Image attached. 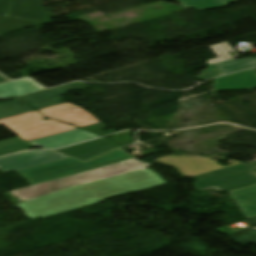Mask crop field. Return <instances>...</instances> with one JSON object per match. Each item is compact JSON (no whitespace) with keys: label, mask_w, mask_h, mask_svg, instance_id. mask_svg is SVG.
<instances>
[{"label":"crop field","mask_w":256,"mask_h":256,"mask_svg":"<svg viewBox=\"0 0 256 256\" xmlns=\"http://www.w3.org/2000/svg\"><path fill=\"white\" fill-rule=\"evenodd\" d=\"M164 184L168 183L154 171L143 169L93 184L57 189L16 206L22 208L27 217H46L102 202L105 198L140 192Z\"/></svg>","instance_id":"1"},{"label":"crop field","mask_w":256,"mask_h":256,"mask_svg":"<svg viewBox=\"0 0 256 256\" xmlns=\"http://www.w3.org/2000/svg\"><path fill=\"white\" fill-rule=\"evenodd\" d=\"M131 157L119 148L108 151L86 162L70 158L22 171H16L30 184H38L68 175L128 160Z\"/></svg>","instance_id":"2"},{"label":"crop field","mask_w":256,"mask_h":256,"mask_svg":"<svg viewBox=\"0 0 256 256\" xmlns=\"http://www.w3.org/2000/svg\"><path fill=\"white\" fill-rule=\"evenodd\" d=\"M149 164L137 162L135 160H128L118 164L102 167L99 169L87 171L84 173L68 176L65 178L53 180L50 182L34 185L31 187L19 189L13 191L15 197L20 198L21 202L39 197L47 194L48 192L61 188L77 184H88L97 182L103 179L115 177L139 169L147 167Z\"/></svg>","instance_id":"3"},{"label":"crop field","mask_w":256,"mask_h":256,"mask_svg":"<svg viewBox=\"0 0 256 256\" xmlns=\"http://www.w3.org/2000/svg\"><path fill=\"white\" fill-rule=\"evenodd\" d=\"M44 117L37 111L5 118L0 120V126L4 125L18 137L28 141L64 131L77 129L72 125L62 124L51 119L42 121Z\"/></svg>","instance_id":"4"},{"label":"crop field","mask_w":256,"mask_h":256,"mask_svg":"<svg viewBox=\"0 0 256 256\" xmlns=\"http://www.w3.org/2000/svg\"><path fill=\"white\" fill-rule=\"evenodd\" d=\"M256 164L236 165L203 176L194 177L193 183L198 190L215 187L220 190H232L256 184Z\"/></svg>","instance_id":"5"},{"label":"crop field","mask_w":256,"mask_h":256,"mask_svg":"<svg viewBox=\"0 0 256 256\" xmlns=\"http://www.w3.org/2000/svg\"><path fill=\"white\" fill-rule=\"evenodd\" d=\"M215 160L197 157H167L156 161L158 164L172 166L179 170L183 177H194L206 174L225 167L214 162ZM230 165L240 164L239 161L228 160ZM228 167V166H226Z\"/></svg>","instance_id":"6"},{"label":"crop field","mask_w":256,"mask_h":256,"mask_svg":"<svg viewBox=\"0 0 256 256\" xmlns=\"http://www.w3.org/2000/svg\"><path fill=\"white\" fill-rule=\"evenodd\" d=\"M69 158L55 151H30L0 159V170L13 172L61 159Z\"/></svg>","instance_id":"7"},{"label":"crop field","mask_w":256,"mask_h":256,"mask_svg":"<svg viewBox=\"0 0 256 256\" xmlns=\"http://www.w3.org/2000/svg\"><path fill=\"white\" fill-rule=\"evenodd\" d=\"M39 111L46 117L70 123L79 128L99 123L89 112L70 102L40 109Z\"/></svg>","instance_id":"8"},{"label":"crop field","mask_w":256,"mask_h":256,"mask_svg":"<svg viewBox=\"0 0 256 256\" xmlns=\"http://www.w3.org/2000/svg\"><path fill=\"white\" fill-rule=\"evenodd\" d=\"M7 17L50 22L42 0H13Z\"/></svg>","instance_id":"9"},{"label":"crop field","mask_w":256,"mask_h":256,"mask_svg":"<svg viewBox=\"0 0 256 256\" xmlns=\"http://www.w3.org/2000/svg\"><path fill=\"white\" fill-rule=\"evenodd\" d=\"M100 137L99 135L86 132L80 129L64 132L32 141H28L29 143L38 146L44 149H53L77 142H82L86 140H90L93 138Z\"/></svg>","instance_id":"10"},{"label":"crop field","mask_w":256,"mask_h":256,"mask_svg":"<svg viewBox=\"0 0 256 256\" xmlns=\"http://www.w3.org/2000/svg\"><path fill=\"white\" fill-rule=\"evenodd\" d=\"M256 87V68L235 73L213 82L215 91L244 90Z\"/></svg>","instance_id":"11"},{"label":"crop field","mask_w":256,"mask_h":256,"mask_svg":"<svg viewBox=\"0 0 256 256\" xmlns=\"http://www.w3.org/2000/svg\"><path fill=\"white\" fill-rule=\"evenodd\" d=\"M116 147L119 146L102 138L85 144L57 150V152L86 161Z\"/></svg>","instance_id":"12"},{"label":"crop field","mask_w":256,"mask_h":256,"mask_svg":"<svg viewBox=\"0 0 256 256\" xmlns=\"http://www.w3.org/2000/svg\"><path fill=\"white\" fill-rule=\"evenodd\" d=\"M90 87L81 83H73L56 89L44 90L28 95L21 96L19 98L24 99L35 106L37 109L59 104L61 98L59 95L64 94L69 89H83Z\"/></svg>","instance_id":"13"},{"label":"crop field","mask_w":256,"mask_h":256,"mask_svg":"<svg viewBox=\"0 0 256 256\" xmlns=\"http://www.w3.org/2000/svg\"><path fill=\"white\" fill-rule=\"evenodd\" d=\"M229 194L240 207L246 218L256 216V185L231 191Z\"/></svg>","instance_id":"14"},{"label":"crop field","mask_w":256,"mask_h":256,"mask_svg":"<svg viewBox=\"0 0 256 256\" xmlns=\"http://www.w3.org/2000/svg\"><path fill=\"white\" fill-rule=\"evenodd\" d=\"M1 86L14 94L16 97L41 90L40 86L31 79L17 80L2 84Z\"/></svg>","instance_id":"15"},{"label":"crop field","mask_w":256,"mask_h":256,"mask_svg":"<svg viewBox=\"0 0 256 256\" xmlns=\"http://www.w3.org/2000/svg\"><path fill=\"white\" fill-rule=\"evenodd\" d=\"M169 1V0H165ZM180 2L183 8L206 10L227 6L235 0H174Z\"/></svg>","instance_id":"16"},{"label":"crop field","mask_w":256,"mask_h":256,"mask_svg":"<svg viewBox=\"0 0 256 256\" xmlns=\"http://www.w3.org/2000/svg\"><path fill=\"white\" fill-rule=\"evenodd\" d=\"M29 111H33V109L25 101L16 99L0 104V119Z\"/></svg>","instance_id":"17"},{"label":"crop field","mask_w":256,"mask_h":256,"mask_svg":"<svg viewBox=\"0 0 256 256\" xmlns=\"http://www.w3.org/2000/svg\"><path fill=\"white\" fill-rule=\"evenodd\" d=\"M217 66L219 67V69L221 70L223 75H225L230 72H234V71H238V70L256 66V58L242 59V60H230V61L218 63Z\"/></svg>","instance_id":"18"},{"label":"crop field","mask_w":256,"mask_h":256,"mask_svg":"<svg viewBox=\"0 0 256 256\" xmlns=\"http://www.w3.org/2000/svg\"><path fill=\"white\" fill-rule=\"evenodd\" d=\"M41 23L43 22L7 18L6 20L0 23V35L8 33L13 30L34 26Z\"/></svg>","instance_id":"19"},{"label":"crop field","mask_w":256,"mask_h":256,"mask_svg":"<svg viewBox=\"0 0 256 256\" xmlns=\"http://www.w3.org/2000/svg\"><path fill=\"white\" fill-rule=\"evenodd\" d=\"M210 48L214 51V53L219 57L214 60L208 61V64H214L217 62L238 58L239 56L236 52L229 46L227 42L221 43L218 45L210 46ZM228 52H233L235 55L232 57Z\"/></svg>","instance_id":"20"},{"label":"crop field","mask_w":256,"mask_h":256,"mask_svg":"<svg viewBox=\"0 0 256 256\" xmlns=\"http://www.w3.org/2000/svg\"><path fill=\"white\" fill-rule=\"evenodd\" d=\"M230 237L243 246H246L248 243L256 244V229L246 228L237 233L230 234Z\"/></svg>","instance_id":"21"},{"label":"crop field","mask_w":256,"mask_h":256,"mask_svg":"<svg viewBox=\"0 0 256 256\" xmlns=\"http://www.w3.org/2000/svg\"><path fill=\"white\" fill-rule=\"evenodd\" d=\"M106 126L102 123H99V124H96V125H92V126H89V127H86V128H82V129H86V130H89V131H93V132H97V131H100L98 132L97 134L101 135V136H104V135H107L106 133L107 132H110V133H114L115 131L114 130H109L107 131L106 133L101 131L103 128H105Z\"/></svg>","instance_id":"22"},{"label":"crop field","mask_w":256,"mask_h":256,"mask_svg":"<svg viewBox=\"0 0 256 256\" xmlns=\"http://www.w3.org/2000/svg\"><path fill=\"white\" fill-rule=\"evenodd\" d=\"M12 0H0V17H6Z\"/></svg>","instance_id":"23"},{"label":"crop field","mask_w":256,"mask_h":256,"mask_svg":"<svg viewBox=\"0 0 256 256\" xmlns=\"http://www.w3.org/2000/svg\"><path fill=\"white\" fill-rule=\"evenodd\" d=\"M12 97L13 96H11L10 94H8L7 92H5L3 89L0 88V100H5Z\"/></svg>","instance_id":"24"},{"label":"crop field","mask_w":256,"mask_h":256,"mask_svg":"<svg viewBox=\"0 0 256 256\" xmlns=\"http://www.w3.org/2000/svg\"><path fill=\"white\" fill-rule=\"evenodd\" d=\"M247 221H248L253 227H256V217L247 219Z\"/></svg>","instance_id":"25"},{"label":"crop field","mask_w":256,"mask_h":256,"mask_svg":"<svg viewBox=\"0 0 256 256\" xmlns=\"http://www.w3.org/2000/svg\"><path fill=\"white\" fill-rule=\"evenodd\" d=\"M8 79L4 78L3 76L0 75V82H3V81H7Z\"/></svg>","instance_id":"26"},{"label":"crop field","mask_w":256,"mask_h":256,"mask_svg":"<svg viewBox=\"0 0 256 256\" xmlns=\"http://www.w3.org/2000/svg\"><path fill=\"white\" fill-rule=\"evenodd\" d=\"M3 19H5V18H0V21L3 20Z\"/></svg>","instance_id":"27"}]
</instances>
